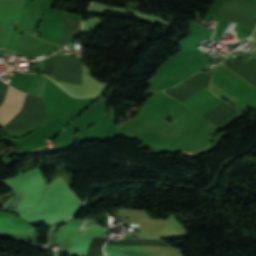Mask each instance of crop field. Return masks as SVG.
I'll return each instance as SVG.
<instances>
[{
  "instance_id": "1",
  "label": "crop field",
  "mask_w": 256,
  "mask_h": 256,
  "mask_svg": "<svg viewBox=\"0 0 256 256\" xmlns=\"http://www.w3.org/2000/svg\"><path fill=\"white\" fill-rule=\"evenodd\" d=\"M103 250L112 255L148 256L135 246L105 245Z\"/></svg>"
},
{
  "instance_id": "4",
  "label": "crop field",
  "mask_w": 256,
  "mask_h": 256,
  "mask_svg": "<svg viewBox=\"0 0 256 256\" xmlns=\"http://www.w3.org/2000/svg\"><path fill=\"white\" fill-rule=\"evenodd\" d=\"M251 1H253V2H255V3H256V0H251Z\"/></svg>"
},
{
  "instance_id": "2",
  "label": "crop field",
  "mask_w": 256,
  "mask_h": 256,
  "mask_svg": "<svg viewBox=\"0 0 256 256\" xmlns=\"http://www.w3.org/2000/svg\"><path fill=\"white\" fill-rule=\"evenodd\" d=\"M254 35H256V31H255ZM254 35H253L252 37H256V36H254Z\"/></svg>"
},
{
  "instance_id": "3",
  "label": "crop field",
  "mask_w": 256,
  "mask_h": 256,
  "mask_svg": "<svg viewBox=\"0 0 256 256\" xmlns=\"http://www.w3.org/2000/svg\"><path fill=\"white\" fill-rule=\"evenodd\" d=\"M252 42L256 43V40H252Z\"/></svg>"
}]
</instances>
